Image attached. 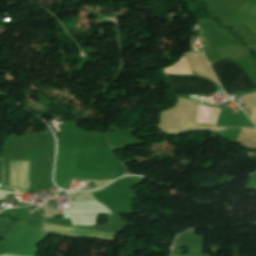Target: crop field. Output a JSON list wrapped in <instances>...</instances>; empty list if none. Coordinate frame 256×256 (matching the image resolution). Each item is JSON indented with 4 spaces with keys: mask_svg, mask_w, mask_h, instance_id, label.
<instances>
[{
    "mask_svg": "<svg viewBox=\"0 0 256 256\" xmlns=\"http://www.w3.org/2000/svg\"><path fill=\"white\" fill-rule=\"evenodd\" d=\"M73 182V181H72ZM71 185H72V183H71Z\"/></svg>",
    "mask_w": 256,
    "mask_h": 256,
    "instance_id": "crop-field-4",
    "label": "crop field"
},
{
    "mask_svg": "<svg viewBox=\"0 0 256 256\" xmlns=\"http://www.w3.org/2000/svg\"><path fill=\"white\" fill-rule=\"evenodd\" d=\"M211 65L227 94L256 89V83L234 60L226 58Z\"/></svg>",
    "mask_w": 256,
    "mask_h": 256,
    "instance_id": "crop-field-1",
    "label": "crop field"
},
{
    "mask_svg": "<svg viewBox=\"0 0 256 256\" xmlns=\"http://www.w3.org/2000/svg\"><path fill=\"white\" fill-rule=\"evenodd\" d=\"M2 256H13V255H2Z\"/></svg>",
    "mask_w": 256,
    "mask_h": 256,
    "instance_id": "crop-field-3",
    "label": "crop field"
},
{
    "mask_svg": "<svg viewBox=\"0 0 256 256\" xmlns=\"http://www.w3.org/2000/svg\"><path fill=\"white\" fill-rule=\"evenodd\" d=\"M172 86L173 94H206L217 91V84L211 80L198 76L165 75Z\"/></svg>",
    "mask_w": 256,
    "mask_h": 256,
    "instance_id": "crop-field-2",
    "label": "crop field"
}]
</instances>
